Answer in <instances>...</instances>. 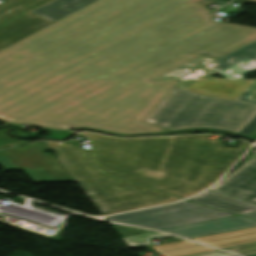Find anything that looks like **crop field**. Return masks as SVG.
Listing matches in <instances>:
<instances>
[{"instance_id": "obj_1", "label": "crop field", "mask_w": 256, "mask_h": 256, "mask_svg": "<svg viewBox=\"0 0 256 256\" xmlns=\"http://www.w3.org/2000/svg\"><path fill=\"white\" fill-rule=\"evenodd\" d=\"M200 0H98L0 51V121L119 134L169 131L143 122L179 80L151 79L201 55L218 59L254 40L256 28L214 22Z\"/></svg>"}, {"instance_id": "obj_2", "label": "crop field", "mask_w": 256, "mask_h": 256, "mask_svg": "<svg viewBox=\"0 0 256 256\" xmlns=\"http://www.w3.org/2000/svg\"><path fill=\"white\" fill-rule=\"evenodd\" d=\"M90 161L102 172L136 167L141 174L159 178L162 175L184 180L185 183L157 190L182 198L213 184L249 147L241 141L236 149L222 146L210 135L117 139L91 133ZM73 177L99 173L87 161V152L66 142H47Z\"/></svg>"}, {"instance_id": "obj_3", "label": "crop field", "mask_w": 256, "mask_h": 256, "mask_svg": "<svg viewBox=\"0 0 256 256\" xmlns=\"http://www.w3.org/2000/svg\"><path fill=\"white\" fill-rule=\"evenodd\" d=\"M256 70V41L218 59L201 56L153 80L179 79L176 87L199 94L256 104V79L243 80ZM218 73L224 79L211 78Z\"/></svg>"}, {"instance_id": "obj_4", "label": "crop field", "mask_w": 256, "mask_h": 256, "mask_svg": "<svg viewBox=\"0 0 256 256\" xmlns=\"http://www.w3.org/2000/svg\"><path fill=\"white\" fill-rule=\"evenodd\" d=\"M141 170L136 168L106 174L151 188L184 182L165 176L156 180L139 174ZM75 180L103 215L181 199L102 174L77 177Z\"/></svg>"}, {"instance_id": "obj_5", "label": "crop field", "mask_w": 256, "mask_h": 256, "mask_svg": "<svg viewBox=\"0 0 256 256\" xmlns=\"http://www.w3.org/2000/svg\"><path fill=\"white\" fill-rule=\"evenodd\" d=\"M242 104L173 88L145 122L172 131L210 128L231 132Z\"/></svg>"}, {"instance_id": "obj_6", "label": "crop field", "mask_w": 256, "mask_h": 256, "mask_svg": "<svg viewBox=\"0 0 256 256\" xmlns=\"http://www.w3.org/2000/svg\"><path fill=\"white\" fill-rule=\"evenodd\" d=\"M228 216L234 215L185 201L157 208L109 216L106 219L160 230Z\"/></svg>"}, {"instance_id": "obj_7", "label": "crop field", "mask_w": 256, "mask_h": 256, "mask_svg": "<svg viewBox=\"0 0 256 256\" xmlns=\"http://www.w3.org/2000/svg\"><path fill=\"white\" fill-rule=\"evenodd\" d=\"M46 142L36 143L0 152V164L6 170L25 171L34 182L75 181Z\"/></svg>"}, {"instance_id": "obj_8", "label": "crop field", "mask_w": 256, "mask_h": 256, "mask_svg": "<svg viewBox=\"0 0 256 256\" xmlns=\"http://www.w3.org/2000/svg\"><path fill=\"white\" fill-rule=\"evenodd\" d=\"M48 0H29L15 9L0 16V25L11 18L30 10ZM54 22L38 16L32 12L21 15L0 27V50L17 41L53 24Z\"/></svg>"}, {"instance_id": "obj_9", "label": "crop field", "mask_w": 256, "mask_h": 256, "mask_svg": "<svg viewBox=\"0 0 256 256\" xmlns=\"http://www.w3.org/2000/svg\"><path fill=\"white\" fill-rule=\"evenodd\" d=\"M210 190L256 204V157L227 175Z\"/></svg>"}, {"instance_id": "obj_10", "label": "crop field", "mask_w": 256, "mask_h": 256, "mask_svg": "<svg viewBox=\"0 0 256 256\" xmlns=\"http://www.w3.org/2000/svg\"><path fill=\"white\" fill-rule=\"evenodd\" d=\"M256 221L246 219L243 217L235 216L200 224H194L169 230H164L173 234L181 235L184 237L192 238L203 236L213 233L255 227ZM187 238V239H188Z\"/></svg>"}, {"instance_id": "obj_11", "label": "crop field", "mask_w": 256, "mask_h": 256, "mask_svg": "<svg viewBox=\"0 0 256 256\" xmlns=\"http://www.w3.org/2000/svg\"><path fill=\"white\" fill-rule=\"evenodd\" d=\"M188 200H192L237 214L256 210V205L237 200L210 190Z\"/></svg>"}, {"instance_id": "obj_12", "label": "crop field", "mask_w": 256, "mask_h": 256, "mask_svg": "<svg viewBox=\"0 0 256 256\" xmlns=\"http://www.w3.org/2000/svg\"><path fill=\"white\" fill-rule=\"evenodd\" d=\"M95 1L96 0H54L32 12L56 22Z\"/></svg>"}, {"instance_id": "obj_13", "label": "crop field", "mask_w": 256, "mask_h": 256, "mask_svg": "<svg viewBox=\"0 0 256 256\" xmlns=\"http://www.w3.org/2000/svg\"><path fill=\"white\" fill-rule=\"evenodd\" d=\"M221 248L256 242V228L192 238ZM197 241V242H198ZM207 244V245H208ZM217 247V248H218Z\"/></svg>"}, {"instance_id": "obj_14", "label": "crop field", "mask_w": 256, "mask_h": 256, "mask_svg": "<svg viewBox=\"0 0 256 256\" xmlns=\"http://www.w3.org/2000/svg\"><path fill=\"white\" fill-rule=\"evenodd\" d=\"M154 237L166 238L171 236L158 233V232H153V233H148V234H143L138 236L126 237V238H123L122 240L124 241V243L127 245L128 248H132V247H138V246L153 245L150 239Z\"/></svg>"}, {"instance_id": "obj_15", "label": "crop field", "mask_w": 256, "mask_h": 256, "mask_svg": "<svg viewBox=\"0 0 256 256\" xmlns=\"http://www.w3.org/2000/svg\"><path fill=\"white\" fill-rule=\"evenodd\" d=\"M255 116L256 106L244 103L232 132L238 134Z\"/></svg>"}, {"instance_id": "obj_16", "label": "crop field", "mask_w": 256, "mask_h": 256, "mask_svg": "<svg viewBox=\"0 0 256 256\" xmlns=\"http://www.w3.org/2000/svg\"><path fill=\"white\" fill-rule=\"evenodd\" d=\"M111 226L114 228V230L120 236V238L126 237V236H132V235L153 232V231H148V230H144V229H140V228L117 225V224H111Z\"/></svg>"}, {"instance_id": "obj_17", "label": "crop field", "mask_w": 256, "mask_h": 256, "mask_svg": "<svg viewBox=\"0 0 256 256\" xmlns=\"http://www.w3.org/2000/svg\"><path fill=\"white\" fill-rule=\"evenodd\" d=\"M209 250H215V249L205 247V246H197V247L179 249V250H175L167 253H161V254H163L164 256H187V255L209 251Z\"/></svg>"}, {"instance_id": "obj_18", "label": "crop field", "mask_w": 256, "mask_h": 256, "mask_svg": "<svg viewBox=\"0 0 256 256\" xmlns=\"http://www.w3.org/2000/svg\"><path fill=\"white\" fill-rule=\"evenodd\" d=\"M192 245H196V243L182 240V241L172 242V243H168V244L153 246V248L157 252H160V251L172 250V249H177V248H182V247H187V246H192ZM148 248H151V247H147L146 249H148Z\"/></svg>"}, {"instance_id": "obj_19", "label": "crop field", "mask_w": 256, "mask_h": 256, "mask_svg": "<svg viewBox=\"0 0 256 256\" xmlns=\"http://www.w3.org/2000/svg\"><path fill=\"white\" fill-rule=\"evenodd\" d=\"M66 42V41H65ZM64 43V42H63ZM62 44V43H61ZM5 58L9 61L12 62H20V63H25L31 59H33L34 57L21 53L19 51L13 50L7 54H5Z\"/></svg>"}, {"instance_id": "obj_20", "label": "crop field", "mask_w": 256, "mask_h": 256, "mask_svg": "<svg viewBox=\"0 0 256 256\" xmlns=\"http://www.w3.org/2000/svg\"><path fill=\"white\" fill-rule=\"evenodd\" d=\"M224 250L232 251L243 255L253 254L256 253V243L225 248Z\"/></svg>"}, {"instance_id": "obj_21", "label": "crop field", "mask_w": 256, "mask_h": 256, "mask_svg": "<svg viewBox=\"0 0 256 256\" xmlns=\"http://www.w3.org/2000/svg\"><path fill=\"white\" fill-rule=\"evenodd\" d=\"M25 1L27 0H3V2L0 3V15L24 3Z\"/></svg>"}, {"instance_id": "obj_22", "label": "crop field", "mask_w": 256, "mask_h": 256, "mask_svg": "<svg viewBox=\"0 0 256 256\" xmlns=\"http://www.w3.org/2000/svg\"><path fill=\"white\" fill-rule=\"evenodd\" d=\"M191 256H236V255L224 253L219 250H215V251L199 253V254H195V255H191Z\"/></svg>"}, {"instance_id": "obj_23", "label": "crop field", "mask_w": 256, "mask_h": 256, "mask_svg": "<svg viewBox=\"0 0 256 256\" xmlns=\"http://www.w3.org/2000/svg\"><path fill=\"white\" fill-rule=\"evenodd\" d=\"M256 128V117L239 133L248 136Z\"/></svg>"}, {"instance_id": "obj_24", "label": "crop field", "mask_w": 256, "mask_h": 256, "mask_svg": "<svg viewBox=\"0 0 256 256\" xmlns=\"http://www.w3.org/2000/svg\"><path fill=\"white\" fill-rule=\"evenodd\" d=\"M237 10H238V8L228 5V6H225L221 9H219L218 11H221V12L231 16V15L235 14Z\"/></svg>"}, {"instance_id": "obj_25", "label": "crop field", "mask_w": 256, "mask_h": 256, "mask_svg": "<svg viewBox=\"0 0 256 256\" xmlns=\"http://www.w3.org/2000/svg\"><path fill=\"white\" fill-rule=\"evenodd\" d=\"M51 130H52L51 137L56 139H59L69 133L68 131L53 130V129Z\"/></svg>"}, {"instance_id": "obj_26", "label": "crop field", "mask_w": 256, "mask_h": 256, "mask_svg": "<svg viewBox=\"0 0 256 256\" xmlns=\"http://www.w3.org/2000/svg\"><path fill=\"white\" fill-rule=\"evenodd\" d=\"M241 215H244V216L256 219V211L255 212H251V213L241 214Z\"/></svg>"}, {"instance_id": "obj_27", "label": "crop field", "mask_w": 256, "mask_h": 256, "mask_svg": "<svg viewBox=\"0 0 256 256\" xmlns=\"http://www.w3.org/2000/svg\"><path fill=\"white\" fill-rule=\"evenodd\" d=\"M249 136L256 138V129Z\"/></svg>"}, {"instance_id": "obj_28", "label": "crop field", "mask_w": 256, "mask_h": 256, "mask_svg": "<svg viewBox=\"0 0 256 256\" xmlns=\"http://www.w3.org/2000/svg\"><path fill=\"white\" fill-rule=\"evenodd\" d=\"M13 130V129H12ZM14 132H16V133H18L19 135H21V136H24V135H26L27 133H23V132H18V131H16V130H13Z\"/></svg>"}, {"instance_id": "obj_29", "label": "crop field", "mask_w": 256, "mask_h": 256, "mask_svg": "<svg viewBox=\"0 0 256 256\" xmlns=\"http://www.w3.org/2000/svg\"><path fill=\"white\" fill-rule=\"evenodd\" d=\"M247 256H256V254H253V255H247Z\"/></svg>"}]
</instances>
